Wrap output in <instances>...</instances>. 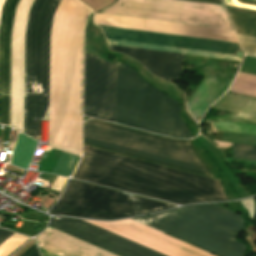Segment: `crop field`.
Listing matches in <instances>:
<instances>
[{
	"label": "crop field",
	"mask_w": 256,
	"mask_h": 256,
	"mask_svg": "<svg viewBox=\"0 0 256 256\" xmlns=\"http://www.w3.org/2000/svg\"><path fill=\"white\" fill-rule=\"evenodd\" d=\"M73 178L176 204L227 200L219 180L84 146Z\"/></svg>",
	"instance_id": "obj_1"
},
{
	"label": "crop field",
	"mask_w": 256,
	"mask_h": 256,
	"mask_svg": "<svg viewBox=\"0 0 256 256\" xmlns=\"http://www.w3.org/2000/svg\"><path fill=\"white\" fill-rule=\"evenodd\" d=\"M211 108L233 113L205 121L230 120L256 124V99L225 93Z\"/></svg>",
	"instance_id": "obj_15"
},
{
	"label": "crop field",
	"mask_w": 256,
	"mask_h": 256,
	"mask_svg": "<svg viewBox=\"0 0 256 256\" xmlns=\"http://www.w3.org/2000/svg\"><path fill=\"white\" fill-rule=\"evenodd\" d=\"M116 66L85 51L84 114L115 123Z\"/></svg>",
	"instance_id": "obj_7"
},
{
	"label": "crop field",
	"mask_w": 256,
	"mask_h": 256,
	"mask_svg": "<svg viewBox=\"0 0 256 256\" xmlns=\"http://www.w3.org/2000/svg\"><path fill=\"white\" fill-rule=\"evenodd\" d=\"M174 206L70 180L52 214L114 219Z\"/></svg>",
	"instance_id": "obj_6"
},
{
	"label": "crop field",
	"mask_w": 256,
	"mask_h": 256,
	"mask_svg": "<svg viewBox=\"0 0 256 256\" xmlns=\"http://www.w3.org/2000/svg\"><path fill=\"white\" fill-rule=\"evenodd\" d=\"M20 0H5L0 19V123L10 125L11 32Z\"/></svg>",
	"instance_id": "obj_13"
},
{
	"label": "crop field",
	"mask_w": 256,
	"mask_h": 256,
	"mask_svg": "<svg viewBox=\"0 0 256 256\" xmlns=\"http://www.w3.org/2000/svg\"><path fill=\"white\" fill-rule=\"evenodd\" d=\"M77 159H78V156L63 152L62 156L60 157L52 173L68 177Z\"/></svg>",
	"instance_id": "obj_19"
},
{
	"label": "crop field",
	"mask_w": 256,
	"mask_h": 256,
	"mask_svg": "<svg viewBox=\"0 0 256 256\" xmlns=\"http://www.w3.org/2000/svg\"><path fill=\"white\" fill-rule=\"evenodd\" d=\"M234 145L233 157L256 160V147L245 145Z\"/></svg>",
	"instance_id": "obj_20"
},
{
	"label": "crop field",
	"mask_w": 256,
	"mask_h": 256,
	"mask_svg": "<svg viewBox=\"0 0 256 256\" xmlns=\"http://www.w3.org/2000/svg\"><path fill=\"white\" fill-rule=\"evenodd\" d=\"M60 0H36L26 32L25 132L40 139L48 120L50 33Z\"/></svg>",
	"instance_id": "obj_5"
},
{
	"label": "crop field",
	"mask_w": 256,
	"mask_h": 256,
	"mask_svg": "<svg viewBox=\"0 0 256 256\" xmlns=\"http://www.w3.org/2000/svg\"><path fill=\"white\" fill-rule=\"evenodd\" d=\"M219 256H245L236 241L244 223L240 216L214 205L190 206L132 218Z\"/></svg>",
	"instance_id": "obj_2"
},
{
	"label": "crop field",
	"mask_w": 256,
	"mask_h": 256,
	"mask_svg": "<svg viewBox=\"0 0 256 256\" xmlns=\"http://www.w3.org/2000/svg\"><path fill=\"white\" fill-rule=\"evenodd\" d=\"M49 225L121 256H164L82 220L52 217Z\"/></svg>",
	"instance_id": "obj_10"
},
{
	"label": "crop field",
	"mask_w": 256,
	"mask_h": 256,
	"mask_svg": "<svg viewBox=\"0 0 256 256\" xmlns=\"http://www.w3.org/2000/svg\"><path fill=\"white\" fill-rule=\"evenodd\" d=\"M13 232H9L3 229H0V244L6 240L10 235H12ZM11 237V236H10ZM5 242V241H4Z\"/></svg>",
	"instance_id": "obj_22"
},
{
	"label": "crop field",
	"mask_w": 256,
	"mask_h": 256,
	"mask_svg": "<svg viewBox=\"0 0 256 256\" xmlns=\"http://www.w3.org/2000/svg\"><path fill=\"white\" fill-rule=\"evenodd\" d=\"M106 38L233 54L239 44L102 27ZM234 55V54H233Z\"/></svg>",
	"instance_id": "obj_12"
},
{
	"label": "crop field",
	"mask_w": 256,
	"mask_h": 256,
	"mask_svg": "<svg viewBox=\"0 0 256 256\" xmlns=\"http://www.w3.org/2000/svg\"><path fill=\"white\" fill-rule=\"evenodd\" d=\"M216 130L256 135V125L223 121L212 123Z\"/></svg>",
	"instance_id": "obj_18"
},
{
	"label": "crop field",
	"mask_w": 256,
	"mask_h": 256,
	"mask_svg": "<svg viewBox=\"0 0 256 256\" xmlns=\"http://www.w3.org/2000/svg\"><path fill=\"white\" fill-rule=\"evenodd\" d=\"M179 103L117 62L116 123L172 137L192 138Z\"/></svg>",
	"instance_id": "obj_3"
},
{
	"label": "crop field",
	"mask_w": 256,
	"mask_h": 256,
	"mask_svg": "<svg viewBox=\"0 0 256 256\" xmlns=\"http://www.w3.org/2000/svg\"><path fill=\"white\" fill-rule=\"evenodd\" d=\"M238 39L245 53L256 55V38L239 35Z\"/></svg>",
	"instance_id": "obj_21"
},
{
	"label": "crop field",
	"mask_w": 256,
	"mask_h": 256,
	"mask_svg": "<svg viewBox=\"0 0 256 256\" xmlns=\"http://www.w3.org/2000/svg\"><path fill=\"white\" fill-rule=\"evenodd\" d=\"M189 1H197V2H204V3H212V4L223 5L221 0H189Z\"/></svg>",
	"instance_id": "obj_24"
},
{
	"label": "crop field",
	"mask_w": 256,
	"mask_h": 256,
	"mask_svg": "<svg viewBox=\"0 0 256 256\" xmlns=\"http://www.w3.org/2000/svg\"><path fill=\"white\" fill-rule=\"evenodd\" d=\"M36 143L37 141L19 132L11 163L27 169Z\"/></svg>",
	"instance_id": "obj_17"
},
{
	"label": "crop field",
	"mask_w": 256,
	"mask_h": 256,
	"mask_svg": "<svg viewBox=\"0 0 256 256\" xmlns=\"http://www.w3.org/2000/svg\"><path fill=\"white\" fill-rule=\"evenodd\" d=\"M84 145L213 177L190 141L166 139L94 120L84 123Z\"/></svg>",
	"instance_id": "obj_4"
},
{
	"label": "crop field",
	"mask_w": 256,
	"mask_h": 256,
	"mask_svg": "<svg viewBox=\"0 0 256 256\" xmlns=\"http://www.w3.org/2000/svg\"><path fill=\"white\" fill-rule=\"evenodd\" d=\"M230 82V79L206 74L187 103V107L195 119L203 115L208 107L225 92Z\"/></svg>",
	"instance_id": "obj_14"
},
{
	"label": "crop field",
	"mask_w": 256,
	"mask_h": 256,
	"mask_svg": "<svg viewBox=\"0 0 256 256\" xmlns=\"http://www.w3.org/2000/svg\"><path fill=\"white\" fill-rule=\"evenodd\" d=\"M20 256H38L37 253H36L35 245L31 246L28 250H26Z\"/></svg>",
	"instance_id": "obj_23"
},
{
	"label": "crop field",
	"mask_w": 256,
	"mask_h": 256,
	"mask_svg": "<svg viewBox=\"0 0 256 256\" xmlns=\"http://www.w3.org/2000/svg\"><path fill=\"white\" fill-rule=\"evenodd\" d=\"M225 7L237 33L256 37V12Z\"/></svg>",
	"instance_id": "obj_16"
},
{
	"label": "crop field",
	"mask_w": 256,
	"mask_h": 256,
	"mask_svg": "<svg viewBox=\"0 0 256 256\" xmlns=\"http://www.w3.org/2000/svg\"><path fill=\"white\" fill-rule=\"evenodd\" d=\"M86 222L168 256H214L130 219L118 222Z\"/></svg>",
	"instance_id": "obj_9"
},
{
	"label": "crop field",
	"mask_w": 256,
	"mask_h": 256,
	"mask_svg": "<svg viewBox=\"0 0 256 256\" xmlns=\"http://www.w3.org/2000/svg\"><path fill=\"white\" fill-rule=\"evenodd\" d=\"M34 0H21L12 32L11 126L23 131L24 32Z\"/></svg>",
	"instance_id": "obj_11"
},
{
	"label": "crop field",
	"mask_w": 256,
	"mask_h": 256,
	"mask_svg": "<svg viewBox=\"0 0 256 256\" xmlns=\"http://www.w3.org/2000/svg\"><path fill=\"white\" fill-rule=\"evenodd\" d=\"M108 44L240 61L236 56L107 39ZM108 45L112 51L134 57L151 73L173 82L181 74L185 55Z\"/></svg>",
	"instance_id": "obj_8"
}]
</instances>
